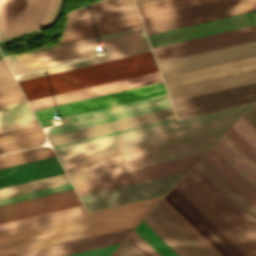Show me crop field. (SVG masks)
Listing matches in <instances>:
<instances>
[{
    "label": "crop field",
    "mask_w": 256,
    "mask_h": 256,
    "mask_svg": "<svg viewBox=\"0 0 256 256\" xmlns=\"http://www.w3.org/2000/svg\"><path fill=\"white\" fill-rule=\"evenodd\" d=\"M174 120H176V119L173 118V119H169V120H165V121H161V122H156V123H152V124H148V125H144V126L127 129V130H122V131H118V132H114V133H110V134H106V135H101V136H97V137H93V138H89V139H84V140H80V141H76V142H72V143H67V144H63V145H59V146L54 145L55 147H53V148L64 146V145H69V144H73V143H78V142H82V141H86V140H91V139H95V138H100V137H104V136H108V135H113V134H117V133H122V132L130 131V130H135V129H139V128H144V127H148V126H152V125H157V124H161V123H166V122H170V121H174Z\"/></svg>",
    "instance_id": "25e5ab78"
},
{
    "label": "crop field",
    "mask_w": 256,
    "mask_h": 256,
    "mask_svg": "<svg viewBox=\"0 0 256 256\" xmlns=\"http://www.w3.org/2000/svg\"><path fill=\"white\" fill-rule=\"evenodd\" d=\"M231 127L256 150V128H254L243 116Z\"/></svg>",
    "instance_id": "e1f06a70"
},
{
    "label": "crop field",
    "mask_w": 256,
    "mask_h": 256,
    "mask_svg": "<svg viewBox=\"0 0 256 256\" xmlns=\"http://www.w3.org/2000/svg\"><path fill=\"white\" fill-rule=\"evenodd\" d=\"M186 173V172H185ZM185 173L164 176L139 183L80 196L86 210L141 200L164 194Z\"/></svg>",
    "instance_id": "3316defc"
},
{
    "label": "crop field",
    "mask_w": 256,
    "mask_h": 256,
    "mask_svg": "<svg viewBox=\"0 0 256 256\" xmlns=\"http://www.w3.org/2000/svg\"><path fill=\"white\" fill-rule=\"evenodd\" d=\"M256 55V41L160 62L162 75L174 74L204 66Z\"/></svg>",
    "instance_id": "4a817a6b"
},
{
    "label": "crop field",
    "mask_w": 256,
    "mask_h": 256,
    "mask_svg": "<svg viewBox=\"0 0 256 256\" xmlns=\"http://www.w3.org/2000/svg\"><path fill=\"white\" fill-rule=\"evenodd\" d=\"M185 176L256 244V225L212 182L195 166ZM185 176L175 187L246 256H256V245Z\"/></svg>",
    "instance_id": "412701ff"
},
{
    "label": "crop field",
    "mask_w": 256,
    "mask_h": 256,
    "mask_svg": "<svg viewBox=\"0 0 256 256\" xmlns=\"http://www.w3.org/2000/svg\"><path fill=\"white\" fill-rule=\"evenodd\" d=\"M45 137L39 125L0 134V153L43 143Z\"/></svg>",
    "instance_id": "ae1a2a85"
},
{
    "label": "crop field",
    "mask_w": 256,
    "mask_h": 256,
    "mask_svg": "<svg viewBox=\"0 0 256 256\" xmlns=\"http://www.w3.org/2000/svg\"><path fill=\"white\" fill-rule=\"evenodd\" d=\"M167 93L162 82L34 111L39 122Z\"/></svg>",
    "instance_id": "28ad6ade"
},
{
    "label": "crop field",
    "mask_w": 256,
    "mask_h": 256,
    "mask_svg": "<svg viewBox=\"0 0 256 256\" xmlns=\"http://www.w3.org/2000/svg\"><path fill=\"white\" fill-rule=\"evenodd\" d=\"M156 70L155 60L149 51L20 81L19 84L30 100Z\"/></svg>",
    "instance_id": "f4fd0767"
},
{
    "label": "crop field",
    "mask_w": 256,
    "mask_h": 256,
    "mask_svg": "<svg viewBox=\"0 0 256 256\" xmlns=\"http://www.w3.org/2000/svg\"><path fill=\"white\" fill-rule=\"evenodd\" d=\"M100 46H103L106 51H110L111 54L91 58L88 61L78 62L69 66H60L33 73L22 74L18 78V81L151 50L143 27L140 26L17 55L15 56L17 62L10 63L9 66L13 74L45 68L63 63V60L66 59L82 57V55H84L83 52L95 50Z\"/></svg>",
    "instance_id": "34b2d1b8"
},
{
    "label": "crop field",
    "mask_w": 256,
    "mask_h": 256,
    "mask_svg": "<svg viewBox=\"0 0 256 256\" xmlns=\"http://www.w3.org/2000/svg\"><path fill=\"white\" fill-rule=\"evenodd\" d=\"M225 134L256 163V151L246 141H244L231 127Z\"/></svg>",
    "instance_id": "c21b1889"
},
{
    "label": "crop field",
    "mask_w": 256,
    "mask_h": 256,
    "mask_svg": "<svg viewBox=\"0 0 256 256\" xmlns=\"http://www.w3.org/2000/svg\"><path fill=\"white\" fill-rule=\"evenodd\" d=\"M50 0H14L13 34L43 26Z\"/></svg>",
    "instance_id": "730fd06b"
},
{
    "label": "crop field",
    "mask_w": 256,
    "mask_h": 256,
    "mask_svg": "<svg viewBox=\"0 0 256 256\" xmlns=\"http://www.w3.org/2000/svg\"><path fill=\"white\" fill-rule=\"evenodd\" d=\"M42 127L52 125L51 121L40 123Z\"/></svg>",
    "instance_id": "447ae74e"
},
{
    "label": "crop field",
    "mask_w": 256,
    "mask_h": 256,
    "mask_svg": "<svg viewBox=\"0 0 256 256\" xmlns=\"http://www.w3.org/2000/svg\"><path fill=\"white\" fill-rule=\"evenodd\" d=\"M214 142L192 146V147L179 149L175 151H170V152L157 154L149 157H144L140 159H135V160L122 162L114 165H109L105 167H100V168L87 170L83 172H78V173L70 174L68 176L72 181V183H75L83 180H88V179L97 178L105 175H110V174L119 173V172L132 170L136 168H141L149 165H154V164L163 163L171 160L198 155V154L205 153Z\"/></svg>",
    "instance_id": "bc2a9ffb"
},
{
    "label": "crop field",
    "mask_w": 256,
    "mask_h": 256,
    "mask_svg": "<svg viewBox=\"0 0 256 256\" xmlns=\"http://www.w3.org/2000/svg\"><path fill=\"white\" fill-rule=\"evenodd\" d=\"M113 1H114V3H112V4H108V5L98 7L99 10L109 8V7L118 6V5H122V4L131 3V0H113ZM111 2H112V0H101V1H98V2H95V3L83 6L81 8H78L74 11L69 12L67 17L78 15V14H83V13H87V12L96 11V10H98L97 6L107 4V3H111Z\"/></svg>",
    "instance_id": "0bd39190"
},
{
    "label": "crop field",
    "mask_w": 256,
    "mask_h": 256,
    "mask_svg": "<svg viewBox=\"0 0 256 256\" xmlns=\"http://www.w3.org/2000/svg\"><path fill=\"white\" fill-rule=\"evenodd\" d=\"M160 81H162V80H159V81H155V82H151V83H156V82H160ZM151 83H146V84H142V85H147V84H151ZM142 85H138V86H142ZM138 86H134V87H138ZM134 87H129V88H134ZM129 88H125V89H129ZM125 89H121V90H125ZM116 91H120V90H116ZM116 91H112V92H116ZM108 93H111V92H108ZM103 94H107V93H103ZM99 95H102V94H99ZM95 96H98V95H95ZM91 97H94V96H91ZM86 98H89V97H86ZM82 99H85V98H82ZM78 100H80V99H78ZM73 101H76V100H73ZM69 102H71V101H69ZM65 103H67V102H65ZM60 104H62V103H60ZM56 105H58V104H56ZM48 106V105H47ZM52 106H54V105H52ZM49 107V106H48ZM43 108H45V107H43ZM35 109V108H34ZM40 109V108H39ZM36 110V109H35Z\"/></svg>",
    "instance_id": "1d79db26"
},
{
    "label": "crop field",
    "mask_w": 256,
    "mask_h": 256,
    "mask_svg": "<svg viewBox=\"0 0 256 256\" xmlns=\"http://www.w3.org/2000/svg\"><path fill=\"white\" fill-rule=\"evenodd\" d=\"M169 215H171L194 239H196L212 256H220L210 247L179 215H177L162 199L158 203Z\"/></svg>",
    "instance_id": "028f5c9d"
},
{
    "label": "crop field",
    "mask_w": 256,
    "mask_h": 256,
    "mask_svg": "<svg viewBox=\"0 0 256 256\" xmlns=\"http://www.w3.org/2000/svg\"><path fill=\"white\" fill-rule=\"evenodd\" d=\"M195 166L256 224V211L203 158Z\"/></svg>",
    "instance_id": "d3111659"
},
{
    "label": "crop field",
    "mask_w": 256,
    "mask_h": 256,
    "mask_svg": "<svg viewBox=\"0 0 256 256\" xmlns=\"http://www.w3.org/2000/svg\"><path fill=\"white\" fill-rule=\"evenodd\" d=\"M160 197L0 233V256L136 226Z\"/></svg>",
    "instance_id": "ac0d7876"
},
{
    "label": "crop field",
    "mask_w": 256,
    "mask_h": 256,
    "mask_svg": "<svg viewBox=\"0 0 256 256\" xmlns=\"http://www.w3.org/2000/svg\"><path fill=\"white\" fill-rule=\"evenodd\" d=\"M138 243L150 256H160L150 245H148L134 230L129 235Z\"/></svg>",
    "instance_id": "d23c7cc5"
},
{
    "label": "crop field",
    "mask_w": 256,
    "mask_h": 256,
    "mask_svg": "<svg viewBox=\"0 0 256 256\" xmlns=\"http://www.w3.org/2000/svg\"><path fill=\"white\" fill-rule=\"evenodd\" d=\"M111 256H118L115 252Z\"/></svg>",
    "instance_id": "db79e9e6"
},
{
    "label": "crop field",
    "mask_w": 256,
    "mask_h": 256,
    "mask_svg": "<svg viewBox=\"0 0 256 256\" xmlns=\"http://www.w3.org/2000/svg\"><path fill=\"white\" fill-rule=\"evenodd\" d=\"M256 40V25L154 48L158 62Z\"/></svg>",
    "instance_id": "cbeb9de0"
},
{
    "label": "crop field",
    "mask_w": 256,
    "mask_h": 256,
    "mask_svg": "<svg viewBox=\"0 0 256 256\" xmlns=\"http://www.w3.org/2000/svg\"><path fill=\"white\" fill-rule=\"evenodd\" d=\"M13 0H6L5 36L12 34Z\"/></svg>",
    "instance_id": "5d738f31"
},
{
    "label": "crop field",
    "mask_w": 256,
    "mask_h": 256,
    "mask_svg": "<svg viewBox=\"0 0 256 256\" xmlns=\"http://www.w3.org/2000/svg\"><path fill=\"white\" fill-rule=\"evenodd\" d=\"M134 228V227H133ZM133 228L72 241L12 256H62L122 242Z\"/></svg>",
    "instance_id": "00972430"
},
{
    "label": "crop field",
    "mask_w": 256,
    "mask_h": 256,
    "mask_svg": "<svg viewBox=\"0 0 256 256\" xmlns=\"http://www.w3.org/2000/svg\"><path fill=\"white\" fill-rule=\"evenodd\" d=\"M74 189L0 206V224L80 206Z\"/></svg>",
    "instance_id": "733c2abd"
},
{
    "label": "crop field",
    "mask_w": 256,
    "mask_h": 256,
    "mask_svg": "<svg viewBox=\"0 0 256 256\" xmlns=\"http://www.w3.org/2000/svg\"><path fill=\"white\" fill-rule=\"evenodd\" d=\"M5 0H0V37L4 36Z\"/></svg>",
    "instance_id": "dbb93151"
},
{
    "label": "crop field",
    "mask_w": 256,
    "mask_h": 256,
    "mask_svg": "<svg viewBox=\"0 0 256 256\" xmlns=\"http://www.w3.org/2000/svg\"><path fill=\"white\" fill-rule=\"evenodd\" d=\"M256 24V11L150 34L151 47H158L213 33Z\"/></svg>",
    "instance_id": "d9b57169"
},
{
    "label": "crop field",
    "mask_w": 256,
    "mask_h": 256,
    "mask_svg": "<svg viewBox=\"0 0 256 256\" xmlns=\"http://www.w3.org/2000/svg\"><path fill=\"white\" fill-rule=\"evenodd\" d=\"M173 117H175L174 112L173 109L170 108L162 111H157L149 114H144L136 117H131L123 120L49 136L48 139L51 142L52 146H54Z\"/></svg>",
    "instance_id": "214f88e0"
},
{
    "label": "crop field",
    "mask_w": 256,
    "mask_h": 256,
    "mask_svg": "<svg viewBox=\"0 0 256 256\" xmlns=\"http://www.w3.org/2000/svg\"><path fill=\"white\" fill-rule=\"evenodd\" d=\"M212 148L256 189V176L233 153H231L220 141H218Z\"/></svg>",
    "instance_id": "d32e631a"
},
{
    "label": "crop field",
    "mask_w": 256,
    "mask_h": 256,
    "mask_svg": "<svg viewBox=\"0 0 256 256\" xmlns=\"http://www.w3.org/2000/svg\"><path fill=\"white\" fill-rule=\"evenodd\" d=\"M71 188L66 174L5 187L0 189V205Z\"/></svg>",
    "instance_id": "dafd665d"
},
{
    "label": "crop field",
    "mask_w": 256,
    "mask_h": 256,
    "mask_svg": "<svg viewBox=\"0 0 256 256\" xmlns=\"http://www.w3.org/2000/svg\"><path fill=\"white\" fill-rule=\"evenodd\" d=\"M83 206L0 225V232L84 213Z\"/></svg>",
    "instance_id": "120bbe31"
},
{
    "label": "crop field",
    "mask_w": 256,
    "mask_h": 256,
    "mask_svg": "<svg viewBox=\"0 0 256 256\" xmlns=\"http://www.w3.org/2000/svg\"><path fill=\"white\" fill-rule=\"evenodd\" d=\"M18 90L14 79L0 82V95ZM33 118L21 91L0 96V126Z\"/></svg>",
    "instance_id": "a9b5d70f"
},
{
    "label": "crop field",
    "mask_w": 256,
    "mask_h": 256,
    "mask_svg": "<svg viewBox=\"0 0 256 256\" xmlns=\"http://www.w3.org/2000/svg\"><path fill=\"white\" fill-rule=\"evenodd\" d=\"M136 1V4L139 5V4H143V3H147V2H152V1H156V0H135Z\"/></svg>",
    "instance_id": "9d1cf04e"
},
{
    "label": "crop field",
    "mask_w": 256,
    "mask_h": 256,
    "mask_svg": "<svg viewBox=\"0 0 256 256\" xmlns=\"http://www.w3.org/2000/svg\"><path fill=\"white\" fill-rule=\"evenodd\" d=\"M254 127H256V103L243 115Z\"/></svg>",
    "instance_id": "1f2cbd36"
},
{
    "label": "crop field",
    "mask_w": 256,
    "mask_h": 256,
    "mask_svg": "<svg viewBox=\"0 0 256 256\" xmlns=\"http://www.w3.org/2000/svg\"><path fill=\"white\" fill-rule=\"evenodd\" d=\"M135 16L137 15H136L135 9L133 8V9L111 13L103 16H98L90 19L76 21V22L66 24L64 33L87 28V27H92L96 25H101L109 22H114L122 19H127Z\"/></svg>",
    "instance_id": "bd1437ed"
},
{
    "label": "crop field",
    "mask_w": 256,
    "mask_h": 256,
    "mask_svg": "<svg viewBox=\"0 0 256 256\" xmlns=\"http://www.w3.org/2000/svg\"><path fill=\"white\" fill-rule=\"evenodd\" d=\"M134 230L161 256H178L143 221Z\"/></svg>",
    "instance_id": "5866460e"
},
{
    "label": "crop field",
    "mask_w": 256,
    "mask_h": 256,
    "mask_svg": "<svg viewBox=\"0 0 256 256\" xmlns=\"http://www.w3.org/2000/svg\"><path fill=\"white\" fill-rule=\"evenodd\" d=\"M115 252L119 256H141L126 240Z\"/></svg>",
    "instance_id": "425ffa30"
},
{
    "label": "crop field",
    "mask_w": 256,
    "mask_h": 256,
    "mask_svg": "<svg viewBox=\"0 0 256 256\" xmlns=\"http://www.w3.org/2000/svg\"><path fill=\"white\" fill-rule=\"evenodd\" d=\"M256 101V82L204 95L174 101L178 118Z\"/></svg>",
    "instance_id": "22f410ed"
},
{
    "label": "crop field",
    "mask_w": 256,
    "mask_h": 256,
    "mask_svg": "<svg viewBox=\"0 0 256 256\" xmlns=\"http://www.w3.org/2000/svg\"><path fill=\"white\" fill-rule=\"evenodd\" d=\"M54 1H55V0H51L50 10H51V8H52V5H53Z\"/></svg>",
    "instance_id": "0765c3eb"
},
{
    "label": "crop field",
    "mask_w": 256,
    "mask_h": 256,
    "mask_svg": "<svg viewBox=\"0 0 256 256\" xmlns=\"http://www.w3.org/2000/svg\"><path fill=\"white\" fill-rule=\"evenodd\" d=\"M241 106L56 148L67 174L217 140Z\"/></svg>",
    "instance_id": "8a807250"
},
{
    "label": "crop field",
    "mask_w": 256,
    "mask_h": 256,
    "mask_svg": "<svg viewBox=\"0 0 256 256\" xmlns=\"http://www.w3.org/2000/svg\"><path fill=\"white\" fill-rule=\"evenodd\" d=\"M13 78L8 67L0 55V81Z\"/></svg>",
    "instance_id": "89e229c0"
},
{
    "label": "crop field",
    "mask_w": 256,
    "mask_h": 256,
    "mask_svg": "<svg viewBox=\"0 0 256 256\" xmlns=\"http://www.w3.org/2000/svg\"><path fill=\"white\" fill-rule=\"evenodd\" d=\"M172 101L256 81V56L163 77Z\"/></svg>",
    "instance_id": "dd49c442"
},
{
    "label": "crop field",
    "mask_w": 256,
    "mask_h": 256,
    "mask_svg": "<svg viewBox=\"0 0 256 256\" xmlns=\"http://www.w3.org/2000/svg\"><path fill=\"white\" fill-rule=\"evenodd\" d=\"M163 229L189 256H211L158 204L147 214Z\"/></svg>",
    "instance_id": "4177f3b9"
},
{
    "label": "crop field",
    "mask_w": 256,
    "mask_h": 256,
    "mask_svg": "<svg viewBox=\"0 0 256 256\" xmlns=\"http://www.w3.org/2000/svg\"><path fill=\"white\" fill-rule=\"evenodd\" d=\"M202 155L79 182L73 185L78 195H81L164 175L185 172L188 171Z\"/></svg>",
    "instance_id": "d1516ede"
},
{
    "label": "crop field",
    "mask_w": 256,
    "mask_h": 256,
    "mask_svg": "<svg viewBox=\"0 0 256 256\" xmlns=\"http://www.w3.org/2000/svg\"><path fill=\"white\" fill-rule=\"evenodd\" d=\"M47 147H37L0 156V167L53 156ZM64 171L55 156L14 166L0 168V187L63 174Z\"/></svg>",
    "instance_id": "d8731c3e"
},
{
    "label": "crop field",
    "mask_w": 256,
    "mask_h": 256,
    "mask_svg": "<svg viewBox=\"0 0 256 256\" xmlns=\"http://www.w3.org/2000/svg\"><path fill=\"white\" fill-rule=\"evenodd\" d=\"M213 0H160L152 3H147L139 5L138 10L140 16L152 15L160 12H165L169 10H174L182 7H187L191 5H196L204 2H209Z\"/></svg>",
    "instance_id": "1d83c4d3"
},
{
    "label": "crop field",
    "mask_w": 256,
    "mask_h": 256,
    "mask_svg": "<svg viewBox=\"0 0 256 256\" xmlns=\"http://www.w3.org/2000/svg\"><path fill=\"white\" fill-rule=\"evenodd\" d=\"M159 79H161L159 72L156 71V72L143 74L135 77H130V78L108 82L100 85H95L91 87H86L78 90H73L65 93H60L52 96L30 100L29 103L32 109H34V108H39V107L52 105L60 102H65L73 99H78L86 96H91V95H95L103 92H108L116 89H121L129 86H134V85H138L146 82H151Z\"/></svg>",
    "instance_id": "92a150f3"
},
{
    "label": "crop field",
    "mask_w": 256,
    "mask_h": 256,
    "mask_svg": "<svg viewBox=\"0 0 256 256\" xmlns=\"http://www.w3.org/2000/svg\"><path fill=\"white\" fill-rule=\"evenodd\" d=\"M132 7H135L134 4L120 6V7L111 8V9H106V10H101V11H97V12H93V13H89V14L69 18V19H67L66 23L76 21V20L85 19V18H89V17H94V16L106 14V13H111V12H115V11H119V10H124V9L132 8Z\"/></svg>",
    "instance_id": "b54c1fbb"
},
{
    "label": "crop field",
    "mask_w": 256,
    "mask_h": 256,
    "mask_svg": "<svg viewBox=\"0 0 256 256\" xmlns=\"http://www.w3.org/2000/svg\"><path fill=\"white\" fill-rule=\"evenodd\" d=\"M203 158L256 208V190L225 160H223L212 148Z\"/></svg>",
    "instance_id": "eef30255"
},
{
    "label": "crop field",
    "mask_w": 256,
    "mask_h": 256,
    "mask_svg": "<svg viewBox=\"0 0 256 256\" xmlns=\"http://www.w3.org/2000/svg\"><path fill=\"white\" fill-rule=\"evenodd\" d=\"M38 124L36 119L0 127V133Z\"/></svg>",
    "instance_id": "73cf0c24"
},
{
    "label": "crop field",
    "mask_w": 256,
    "mask_h": 256,
    "mask_svg": "<svg viewBox=\"0 0 256 256\" xmlns=\"http://www.w3.org/2000/svg\"><path fill=\"white\" fill-rule=\"evenodd\" d=\"M142 25L139 18H132V19H127L119 22H114L110 24H105L97 27H92L88 29H83L75 32H70L66 33L63 35V38L61 40L60 44L72 42V41H77L89 37H94L106 33H111L123 29H128L136 26Z\"/></svg>",
    "instance_id": "750c4746"
},
{
    "label": "crop field",
    "mask_w": 256,
    "mask_h": 256,
    "mask_svg": "<svg viewBox=\"0 0 256 256\" xmlns=\"http://www.w3.org/2000/svg\"><path fill=\"white\" fill-rule=\"evenodd\" d=\"M168 95H161L92 112L66 117L62 124L50 127L46 135L60 133L68 130L91 126L99 123L122 119L130 116L170 108Z\"/></svg>",
    "instance_id": "5a996713"
},
{
    "label": "crop field",
    "mask_w": 256,
    "mask_h": 256,
    "mask_svg": "<svg viewBox=\"0 0 256 256\" xmlns=\"http://www.w3.org/2000/svg\"><path fill=\"white\" fill-rule=\"evenodd\" d=\"M256 10V0H218L141 18L148 34Z\"/></svg>",
    "instance_id": "e52e79f7"
},
{
    "label": "crop field",
    "mask_w": 256,
    "mask_h": 256,
    "mask_svg": "<svg viewBox=\"0 0 256 256\" xmlns=\"http://www.w3.org/2000/svg\"><path fill=\"white\" fill-rule=\"evenodd\" d=\"M158 234L179 256H188L164 231H162L147 215L143 220Z\"/></svg>",
    "instance_id": "b80d0937"
},
{
    "label": "crop field",
    "mask_w": 256,
    "mask_h": 256,
    "mask_svg": "<svg viewBox=\"0 0 256 256\" xmlns=\"http://www.w3.org/2000/svg\"><path fill=\"white\" fill-rule=\"evenodd\" d=\"M220 140L256 174V164L238 146L225 134Z\"/></svg>",
    "instance_id": "c035e120"
},
{
    "label": "crop field",
    "mask_w": 256,
    "mask_h": 256,
    "mask_svg": "<svg viewBox=\"0 0 256 256\" xmlns=\"http://www.w3.org/2000/svg\"><path fill=\"white\" fill-rule=\"evenodd\" d=\"M185 207H187L218 239H220L236 256H245L225 235H223L192 203H190L175 187L170 191ZM170 192L162 199L177 212L206 242L221 256H235L220 240H218L187 208H185Z\"/></svg>",
    "instance_id": "5142ce71"
},
{
    "label": "crop field",
    "mask_w": 256,
    "mask_h": 256,
    "mask_svg": "<svg viewBox=\"0 0 256 256\" xmlns=\"http://www.w3.org/2000/svg\"><path fill=\"white\" fill-rule=\"evenodd\" d=\"M142 256H149L141 247H139L129 236L126 239Z\"/></svg>",
    "instance_id": "0fb4a251"
},
{
    "label": "crop field",
    "mask_w": 256,
    "mask_h": 256,
    "mask_svg": "<svg viewBox=\"0 0 256 256\" xmlns=\"http://www.w3.org/2000/svg\"><path fill=\"white\" fill-rule=\"evenodd\" d=\"M119 244L97 248L80 253H75L67 256H109Z\"/></svg>",
    "instance_id": "03da06ac"
}]
</instances>
